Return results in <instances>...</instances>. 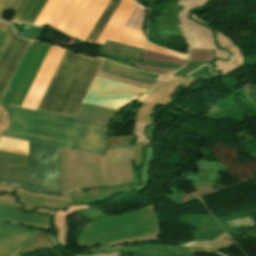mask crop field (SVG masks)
Here are the masks:
<instances>
[{
	"label": "crop field",
	"mask_w": 256,
	"mask_h": 256,
	"mask_svg": "<svg viewBox=\"0 0 256 256\" xmlns=\"http://www.w3.org/2000/svg\"><path fill=\"white\" fill-rule=\"evenodd\" d=\"M1 105L10 120L2 136L102 154L107 125Z\"/></svg>",
	"instance_id": "crop-field-1"
},
{
	"label": "crop field",
	"mask_w": 256,
	"mask_h": 256,
	"mask_svg": "<svg viewBox=\"0 0 256 256\" xmlns=\"http://www.w3.org/2000/svg\"><path fill=\"white\" fill-rule=\"evenodd\" d=\"M0 182L28 187V156L0 151ZM29 187L61 193V148L29 142Z\"/></svg>",
	"instance_id": "crop-field-2"
},
{
	"label": "crop field",
	"mask_w": 256,
	"mask_h": 256,
	"mask_svg": "<svg viewBox=\"0 0 256 256\" xmlns=\"http://www.w3.org/2000/svg\"><path fill=\"white\" fill-rule=\"evenodd\" d=\"M101 61L66 51L37 110L74 117Z\"/></svg>",
	"instance_id": "crop-field-3"
},
{
	"label": "crop field",
	"mask_w": 256,
	"mask_h": 256,
	"mask_svg": "<svg viewBox=\"0 0 256 256\" xmlns=\"http://www.w3.org/2000/svg\"><path fill=\"white\" fill-rule=\"evenodd\" d=\"M109 0H48L36 25H51L85 41Z\"/></svg>",
	"instance_id": "crop-field-4"
},
{
	"label": "crop field",
	"mask_w": 256,
	"mask_h": 256,
	"mask_svg": "<svg viewBox=\"0 0 256 256\" xmlns=\"http://www.w3.org/2000/svg\"><path fill=\"white\" fill-rule=\"evenodd\" d=\"M131 1H120L96 43L104 44L105 40L108 39L137 48H143L145 43V38L143 37L144 32L123 27L137 5Z\"/></svg>",
	"instance_id": "crop-field-5"
},
{
	"label": "crop field",
	"mask_w": 256,
	"mask_h": 256,
	"mask_svg": "<svg viewBox=\"0 0 256 256\" xmlns=\"http://www.w3.org/2000/svg\"><path fill=\"white\" fill-rule=\"evenodd\" d=\"M65 49L51 46L21 107L36 110Z\"/></svg>",
	"instance_id": "crop-field-6"
},
{
	"label": "crop field",
	"mask_w": 256,
	"mask_h": 256,
	"mask_svg": "<svg viewBox=\"0 0 256 256\" xmlns=\"http://www.w3.org/2000/svg\"><path fill=\"white\" fill-rule=\"evenodd\" d=\"M30 41L17 36L12 30L0 54V100Z\"/></svg>",
	"instance_id": "crop-field-7"
},
{
	"label": "crop field",
	"mask_w": 256,
	"mask_h": 256,
	"mask_svg": "<svg viewBox=\"0 0 256 256\" xmlns=\"http://www.w3.org/2000/svg\"><path fill=\"white\" fill-rule=\"evenodd\" d=\"M37 232L0 222V254L13 256L23 249Z\"/></svg>",
	"instance_id": "crop-field-8"
},
{
	"label": "crop field",
	"mask_w": 256,
	"mask_h": 256,
	"mask_svg": "<svg viewBox=\"0 0 256 256\" xmlns=\"http://www.w3.org/2000/svg\"><path fill=\"white\" fill-rule=\"evenodd\" d=\"M0 219L49 228V217L39 214H24L14 207L0 202Z\"/></svg>",
	"instance_id": "crop-field-9"
},
{
	"label": "crop field",
	"mask_w": 256,
	"mask_h": 256,
	"mask_svg": "<svg viewBox=\"0 0 256 256\" xmlns=\"http://www.w3.org/2000/svg\"><path fill=\"white\" fill-rule=\"evenodd\" d=\"M49 47L50 45L48 44H41L11 105L19 107L21 106Z\"/></svg>",
	"instance_id": "crop-field-10"
},
{
	"label": "crop field",
	"mask_w": 256,
	"mask_h": 256,
	"mask_svg": "<svg viewBox=\"0 0 256 256\" xmlns=\"http://www.w3.org/2000/svg\"><path fill=\"white\" fill-rule=\"evenodd\" d=\"M100 72L111 73L147 83H153L157 79V75L148 74L139 70L130 69L109 61L104 60L100 69Z\"/></svg>",
	"instance_id": "crop-field-11"
},
{
	"label": "crop field",
	"mask_w": 256,
	"mask_h": 256,
	"mask_svg": "<svg viewBox=\"0 0 256 256\" xmlns=\"http://www.w3.org/2000/svg\"><path fill=\"white\" fill-rule=\"evenodd\" d=\"M46 1L47 0H24L12 20L33 24Z\"/></svg>",
	"instance_id": "crop-field-12"
},
{
	"label": "crop field",
	"mask_w": 256,
	"mask_h": 256,
	"mask_svg": "<svg viewBox=\"0 0 256 256\" xmlns=\"http://www.w3.org/2000/svg\"><path fill=\"white\" fill-rule=\"evenodd\" d=\"M141 51V49L106 40L101 53L137 61Z\"/></svg>",
	"instance_id": "crop-field-13"
},
{
	"label": "crop field",
	"mask_w": 256,
	"mask_h": 256,
	"mask_svg": "<svg viewBox=\"0 0 256 256\" xmlns=\"http://www.w3.org/2000/svg\"><path fill=\"white\" fill-rule=\"evenodd\" d=\"M119 1L120 0H110L109 1L106 8L104 9L101 16L99 17L98 21L96 22L95 26L93 27L90 34L88 35L86 42L95 43L99 34L103 30V28L106 25L107 21L109 20L110 16L112 15L115 8L117 7Z\"/></svg>",
	"instance_id": "crop-field-14"
},
{
	"label": "crop field",
	"mask_w": 256,
	"mask_h": 256,
	"mask_svg": "<svg viewBox=\"0 0 256 256\" xmlns=\"http://www.w3.org/2000/svg\"><path fill=\"white\" fill-rule=\"evenodd\" d=\"M40 232L33 238L29 246L24 250L21 255L27 252L39 250L41 248H50L56 246V244L48 236Z\"/></svg>",
	"instance_id": "crop-field-15"
},
{
	"label": "crop field",
	"mask_w": 256,
	"mask_h": 256,
	"mask_svg": "<svg viewBox=\"0 0 256 256\" xmlns=\"http://www.w3.org/2000/svg\"><path fill=\"white\" fill-rule=\"evenodd\" d=\"M21 2L22 0H0V16L4 8L16 11Z\"/></svg>",
	"instance_id": "crop-field-16"
},
{
	"label": "crop field",
	"mask_w": 256,
	"mask_h": 256,
	"mask_svg": "<svg viewBox=\"0 0 256 256\" xmlns=\"http://www.w3.org/2000/svg\"><path fill=\"white\" fill-rule=\"evenodd\" d=\"M10 31H11V28H10L9 25H8V27H7L5 32L0 30V51H1V49H2V47L4 45V43H5L8 35H9V33H10Z\"/></svg>",
	"instance_id": "crop-field-17"
},
{
	"label": "crop field",
	"mask_w": 256,
	"mask_h": 256,
	"mask_svg": "<svg viewBox=\"0 0 256 256\" xmlns=\"http://www.w3.org/2000/svg\"><path fill=\"white\" fill-rule=\"evenodd\" d=\"M6 26H7L6 21L0 19V29L4 31Z\"/></svg>",
	"instance_id": "crop-field-18"
},
{
	"label": "crop field",
	"mask_w": 256,
	"mask_h": 256,
	"mask_svg": "<svg viewBox=\"0 0 256 256\" xmlns=\"http://www.w3.org/2000/svg\"><path fill=\"white\" fill-rule=\"evenodd\" d=\"M0 256H4V255H0Z\"/></svg>",
	"instance_id": "crop-field-19"
}]
</instances>
